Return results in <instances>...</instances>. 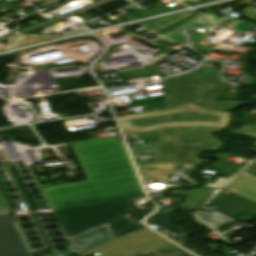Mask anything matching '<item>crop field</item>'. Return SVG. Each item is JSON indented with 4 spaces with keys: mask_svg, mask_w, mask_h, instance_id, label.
Listing matches in <instances>:
<instances>
[{
    "mask_svg": "<svg viewBox=\"0 0 256 256\" xmlns=\"http://www.w3.org/2000/svg\"><path fill=\"white\" fill-rule=\"evenodd\" d=\"M204 151H208V150L182 145L176 163H183V164H190V165H194L196 163H208L210 161H202L197 159L198 155Z\"/></svg>",
    "mask_w": 256,
    "mask_h": 256,
    "instance_id": "10",
    "label": "crop field"
},
{
    "mask_svg": "<svg viewBox=\"0 0 256 256\" xmlns=\"http://www.w3.org/2000/svg\"><path fill=\"white\" fill-rule=\"evenodd\" d=\"M160 102V101H159ZM155 103V102H154ZM148 104H151V103H148ZM143 105H145V104H143Z\"/></svg>",
    "mask_w": 256,
    "mask_h": 256,
    "instance_id": "23",
    "label": "crop field"
},
{
    "mask_svg": "<svg viewBox=\"0 0 256 256\" xmlns=\"http://www.w3.org/2000/svg\"><path fill=\"white\" fill-rule=\"evenodd\" d=\"M244 12H246L251 18L256 19V9L249 8L245 9Z\"/></svg>",
    "mask_w": 256,
    "mask_h": 256,
    "instance_id": "22",
    "label": "crop field"
},
{
    "mask_svg": "<svg viewBox=\"0 0 256 256\" xmlns=\"http://www.w3.org/2000/svg\"><path fill=\"white\" fill-rule=\"evenodd\" d=\"M123 75L124 80L127 79H133V78H139V77H144V76H150V75H156L153 71L147 69V68H141V69H136V70H131V71H126L121 73ZM120 78H114V79H109V80H115V79H120ZM109 80H103L104 81H109Z\"/></svg>",
    "mask_w": 256,
    "mask_h": 256,
    "instance_id": "13",
    "label": "crop field"
},
{
    "mask_svg": "<svg viewBox=\"0 0 256 256\" xmlns=\"http://www.w3.org/2000/svg\"><path fill=\"white\" fill-rule=\"evenodd\" d=\"M146 222H148V224H154V225L160 227L159 229H157L158 231H160L164 228H167V229L185 237V234L182 229L171 225L172 216L155 214L150 219L146 220Z\"/></svg>",
    "mask_w": 256,
    "mask_h": 256,
    "instance_id": "11",
    "label": "crop field"
},
{
    "mask_svg": "<svg viewBox=\"0 0 256 256\" xmlns=\"http://www.w3.org/2000/svg\"><path fill=\"white\" fill-rule=\"evenodd\" d=\"M216 100H240L236 94L222 93Z\"/></svg>",
    "mask_w": 256,
    "mask_h": 256,
    "instance_id": "18",
    "label": "crop field"
},
{
    "mask_svg": "<svg viewBox=\"0 0 256 256\" xmlns=\"http://www.w3.org/2000/svg\"><path fill=\"white\" fill-rule=\"evenodd\" d=\"M164 82L169 107L194 104L231 111L240 105H255L247 101H213L227 89L221 80L202 82L185 74L168 78Z\"/></svg>",
    "mask_w": 256,
    "mask_h": 256,
    "instance_id": "4",
    "label": "crop field"
},
{
    "mask_svg": "<svg viewBox=\"0 0 256 256\" xmlns=\"http://www.w3.org/2000/svg\"><path fill=\"white\" fill-rule=\"evenodd\" d=\"M194 13L195 15L185 19L184 17ZM195 12L190 11L182 14H177L157 20H153L147 23H140V25L178 43V44H187L184 35H182L179 31L198 27V26H213L205 19L197 18ZM203 22L204 24H200Z\"/></svg>",
    "mask_w": 256,
    "mask_h": 256,
    "instance_id": "7",
    "label": "crop field"
},
{
    "mask_svg": "<svg viewBox=\"0 0 256 256\" xmlns=\"http://www.w3.org/2000/svg\"><path fill=\"white\" fill-rule=\"evenodd\" d=\"M114 236L108 225H104L90 231L84 232L78 236L69 238L73 248H79L75 251L76 254L85 252L95 246H98Z\"/></svg>",
    "mask_w": 256,
    "mask_h": 256,
    "instance_id": "8",
    "label": "crop field"
},
{
    "mask_svg": "<svg viewBox=\"0 0 256 256\" xmlns=\"http://www.w3.org/2000/svg\"><path fill=\"white\" fill-rule=\"evenodd\" d=\"M256 98V96H254Z\"/></svg>",
    "mask_w": 256,
    "mask_h": 256,
    "instance_id": "24",
    "label": "crop field"
},
{
    "mask_svg": "<svg viewBox=\"0 0 256 256\" xmlns=\"http://www.w3.org/2000/svg\"><path fill=\"white\" fill-rule=\"evenodd\" d=\"M73 148L89 181L43 188L54 210L144 195L123 143L110 137Z\"/></svg>",
    "mask_w": 256,
    "mask_h": 256,
    "instance_id": "1",
    "label": "crop field"
},
{
    "mask_svg": "<svg viewBox=\"0 0 256 256\" xmlns=\"http://www.w3.org/2000/svg\"><path fill=\"white\" fill-rule=\"evenodd\" d=\"M245 124H256V116L244 115Z\"/></svg>",
    "mask_w": 256,
    "mask_h": 256,
    "instance_id": "21",
    "label": "crop field"
},
{
    "mask_svg": "<svg viewBox=\"0 0 256 256\" xmlns=\"http://www.w3.org/2000/svg\"><path fill=\"white\" fill-rule=\"evenodd\" d=\"M232 114L195 106L119 118L126 135L160 130L155 164L175 163L181 144L217 150L223 147L211 133L223 131Z\"/></svg>",
    "mask_w": 256,
    "mask_h": 256,
    "instance_id": "2",
    "label": "crop field"
},
{
    "mask_svg": "<svg viewBox=\"0 0 256 256\" xmlns=\"http://www.w3.org/2000/svg\"><path fill=\"white\" fill-rule=\"evenodd\" d=\"M225 189L256 202V161Z\"/></svg>",
    "mask_w": 256,
    "mask_h": 256,
    "instance_id": "9",
    "label": "crop field"
},
{
    "mask_svg": "<svg viewBox=\"0 0 256 256\" xmlns=\"http://www.w3.org/2000/svg\"><path fill=\"white\" fill-rule=\"evenodd\" d=\"M230 134L256 140V125H245L240 129L230 132Z\"/></svg>",
    "mask_w": 256,
    "mask_h": 256,
    "instance_id": "14",
    "label": "crop field"
},
{
    "mask_svg": "<svg viewBox=\"0 0 256 256\" xmlns=\"http://www.w3.org/2000/svg\"><path fill=\"white\" fill-rule=\"evenodd\" d=\"M137 256H166V255H164V254H162L160 252H157V251H155L153 249H150V250H148V251H146L144 253H141V254H139Z\"/></svg>",
    "mask_w": 256,
    "mask_h": 256,
    "instance_id": "20",
    "label": "crop field"
},
{
    "mask_svg": "<svg viewBox=\"0 0 256 256\" xmlns=\"http://www.w3.org/2000/svg\"><path fill=\"white\" fill-rule=\"evenodd\" d=\"M190 75L202 80V81H208V80H216V79H220L219 78V72L218 73H214V74H210V75H206V76H202V77H199L193 73H189Z\"/></svg>",
    "mask_w": 256,
    "mask_h": 256,
    "instance_id": "17",
    "label": "crop field"
},
{
    "mask_svg": "<svg viewBox=\"0 0 256 256\" xmlns=\"http://www.w3.org/2000/svg\"><path fill=\"white\" fill-rule=\"evenodd\" d=\"M132 199H124L55 211L68 238L86 230L110 223L130 214V218L142 221L148 212L134 210Z\"/></svg>",
    "mask_w": 256,
    "mask_h": 256,
    "instance_id": "3",
    "label": "crop field"
},
{
    "mask_svg": "<svg viewBox=\"0 0 256 256\" xmlns=\"http://www.w3.org/2000/svg\"><path fill=\"white\" fill-rule=\"evenodd\" d=\"M110 227L115 235V237H119L122 235H125L127 233H130L132 231H135L137 229L145 227L142 224L134 225V221L125 218L123 220L117 221L115 223L110 224Z\"/></svg>",
    "mask_w": 256,
    "mask_h": 256,
    "instance_id": "12",
    "label": "crop field"
},
{
    "mask_svg": "<svg viewBox=\"0 0 256 256\" xmlns=\"http://www.w3.org/2000/svg\"><path fill=\"white\" fill-rule=\"evenodd\" d=\"M174 245L147 227L108 241L79 256H90L98 253L100 256H135L149 248L157 251Z\"/></svg>",
    "mask_w": 256,
    "mask_h": 256,
    "instance_id": "5",
    "label": "crop field"
},
{
    "mask_svg": "<svg viewBox=\"0 0 256 256\" xmlns=\"http://www.w3.org/2000/svg\"><path fill=\"white\" fill-rule=\"evenodd\" d=\"M193 169H194V166L176 164L172 173L185 174V173H189V172L193 171Z\"/></svg>",
    "mask_w": 256,
    "mask_h": 256,
    "instance_id": "16",
    "label": "crop field"
},
{
    "mask_svg": "<svg viewBox=\"0 0 256 256\" xmlns=\"http://www.w3.org/2000/svg\"><path fill=\"white\" fill-rule=\"evenodd\" d=\"M166 99L165 96L134 101L135 105Z\"/></svg>",
    "mask_w": 256,
    "mask_h": 256,
    "instance_id": "19",
    "label": "crop field"
},
{
    "mask_svg": "<svg viewBox=\"0 0 256 256\" xmlns=\"http://www.w3.org/2000/svg\"><path fill=\"white\" fill-rule=\"evenodd\" d=\"M256 25L250 23L249 21L242 19L238 20L233 27L232 30L242 31V32H248L252 31Z\"/></svg>",
    "mask_w": 256,
    "mask_h": 256,
    "instance_id": "15",
    "label": "crop field"
},
{
    "mask_svg": "<svg viewBox=\"0 0 256 256\" xmlns=\"http://www.w3.org/2000/svg\"><path fill=\"white\" fill-rule=\"evenodd\" d=\"M11 213L12 209L0 190V256H31Z\"/></svg>",
    "mask_w": 256,
    "mask_h": 256,
    "instance_id": "6",
    "label": "crop field"
}]
</instances>
